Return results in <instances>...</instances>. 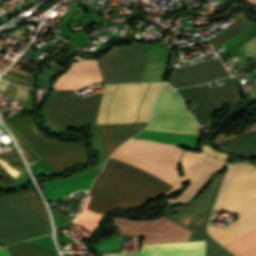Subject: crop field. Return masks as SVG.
Segmentation results:
<instances>
[{
	"label": "crop field",
	"instance_id": "1",
	"mask_svg": "<svg viewBox=\"0 0 256 256\" xmlns=\"http://www.w3.org/2000/svg\"><path fill=\"white\" fill-rule=\"evenodd\" d=\"M104 84L130 83L119 46L96 59ZM95 60H81L73 64L59 79L99 72ZM100 73L56 81V90L78 89L100 82ZM161 83L104 86L103 97L81 99L74 90L55 91L46 109L99 99L102 97L96 125L149 122L153 102ZM93 100L44 111V115L100 102ZM99 104L76 108L44 116L52 129L58 131L78 125L94 123Z\"/></svg>",
	"mask_w": 256,
	"mask_h": 256
},
{
	"label": "crop field",
	"instance_id": "2",
	"mask_svg": "<svg viewBox=\"0 0 256 256\" xmlns=\"http://www.w3.org/2000/svg\"><path fill=\"white\" fill-rule=\"evenodd\" d=\"M182 152L183 149L160 143L129 140L111 157L174 187L179 184L176 162ZM123 162L109 159L81 209L84 212L73 222L93 231L106 210L136 207L172 188Z\"/></svg>",
	"mask_w": 256,
	"mask_h": 256
},
{
	"label": "crop field",
	"instance_id": "3",
	"mask_svg": "<svg viewBox=\"0 0 256 256\" xmlns=\"http://www.w3.org/2000/svg\"><path fill=\"white\" fill-rule=\"evenodd\" d=\"M238 213L239 219L221 228L209 225L210 235L223 245L256 227V167L230 165L215 207Z\"/></svg>",
	"mask_w": 256,
	"mask_h": 256
},
{
	"label": "crop field",
	"instance_id": "4",
	"mask_svg": "<svg viewBox=\"0 0 256 256\" xmlns=\"http://www.w3.org/2000/svg\"><path fill=\"white\" fill-rule=\"evenodd\" d=\"M8 122L31 148L54 168L57 174L72 165L87 162L86 150L84 151L80 143H64L43 139L35 131L34 125L26 115L15 117Z\"/></svg>",
	"mask_w": 256,
	"mask_h": 256
},
{
	"label": "crop field",
	"instance_id": "5",
	"mask_svg": "<svg viewBox=\"0 0 256 256\" xmlns=\"http://www.w3.org/2000/svg\"><path fill=\"white\" fill-rule=\"evenodd\" d=\"M148 123L98 126L102 137L107 158L110 153L125 140L142 131ZM98 172L90 169L87 172L76 174L74 177L44 183V191L47 202L53 203L57 199L67 196L77 190H88Z\"/></svg>",
	"mask_w": 256,
	"mask_h": 256
},
{
	"label": "crop field",
	"instance_id": "6",
	"mask_svg": "<svg viewBox=\"0 0 256 256\" xmlns=\"http://www.w3.org/2000/svg\"><path fill=\"white\" fill-rule=\"evenodd\" d=\"M146 129L200 135L183 100L166 84L155 102L152 120Z\"/></svg>",
	"mask_w": 256,
	"mask_h": 256
},
{
	"label": "crop field",
	"instance_id": "7",
	"mask_svg": "<svg viewBox=\"0 0 256 256\" xmlns=\"http://www.w3.org/2000/svg\"><path fill=\"white\" fill-rule=\"evenodd\" d=\"M224 175H216L207 191L188 206L170 209L163 217L192 232L188 241L210 240L206 225ZM176 210L178 213L167 215Z\"/></svg>",
	"mask_w": 256,
	"mask_h": 256
},
{
	"label": "crop field",
	"instance_id": "8",
	"mask_svg": "<svg viewBox=\"0 0 256 256\" xmlns=\"http://www.w3.org/2000/svg\"><path fill=\"white\" fill-rule=\"evenodd\" d=\"M181 164L185 172L184 176L179 178L180 184L163 195L174 194L178 192L191 178V182L183 194L170 202L187 201L196 191H198L207 177L214 171L222 167V163L217 162L204 154L185 151Z\"/></svg>",
	"mask_w": 256,
	"mask_h": 256
},
{
	"label": "crop field",
	"instance_id": "9",
	"mask_svg": "<svg viewBox=\"0 0 256 256\" xmlns=\"http://www.w3.org/2000/svg\"><path fill=\"white\" fill-rule=\"evenodd\" d=\"M131 222L115 218L121 229L119 233L145 237L143 244L187 241L191 234L164 218L152 222Z\"/></svg>",
	"mask_w": 256,
	"mask_h": 256
},
{
	"label": "crop field",
	"instance_id": "10",
	"mask_svg": "<svg viewBox=\"0 0 256 256\" xmlns=\"http://www.w3.org/2000/svg\"><path fill=\"white\" fill-rule=\"evenodd\" d=\"M230 76L219 58L195 66L175 69L167 81L174 88L188 87Z\"/></svg>",
	"mask_w": 256,
	"mask_h": 256
},
{
	"label": "crop field",
	"instance_id": "11",
	"mask_svg": "<svg viewBox=\"0 0 256 256\" xmlns=\"http://www.w3.org/2000/svg\"><path fill=\"white\" fill-rule=\"evenodd\" d=\"M205 241L143 245L141 253L102 256H204Z\"/></svg>",
	"mask_w": 256,
	"mask_h": 256
},
{
	"label": "crop field",
	"instance_id": "12",
	"mask_svg": "<svg viewBox=\"0 0 256 256\" xmlns=\"http://www.w3.org/2000/svg\"><path fill=\"white\" fill-rule=\"evenodd\" d=\"M131 82H141V75L147 59L148 48L137 46L121 47Z\"/></svg>",
	"mask_w": 256,
	"mask_h": 256
},
{
	"label": "crop field",
	"instance_id": "13",
	"mask_svg": "<svg viewBox=\"0 0 256 256\" xmlns=\"http://www.w3.org/2000/svg\"><path fill=\"white\" fill-rule=\"evenodd\" d=\"M169 51L159 50L149 52L142 82H162L166 70Z\"/></svg>",
	"mask_w": 256,
	"mask_h": 256
},
{
	"label": "crop field",
	"instance_id": "14",
	"mask_svg": "<svg viewBox=\"0 0 256 256\" xmlns=\"http://www.w3.org/2000/svg\"><path fill=\"white\" fill-rule=\"evenodd\" d=\"M133 138L160 141L196 149L199 136L144 130Z\"/></svg>",
	"mask_w": 256,
	"mask_h": 256
},
{
	"label": "crop field",
	"instance_id": "15",
	"mask_svg": "<svg viewBox=\"0 0 256 256\" xmlns=\"http://www.w3.org/2000/svg\"><path fill=\"white\" fill-rule=\"evenodd\" d=\"M203 87L208 92L217 109L224 105L237 104L239 101L237 82L228 84L212 91H210L207 84H203Z\"/></svg>",
	"mask_w": 256,
	"mask_h": 256
},
{
	"label": "crop field",
	"instance_id": "16",
	"mask_svg": "<svg viewBox=\"0 0 256 256\" xmlns=\"http://www.w3.org/2000/svg\"><path fill=\"white\" fill-rule=\"evenodd\" d=\"M224 246L236 256L254 255L256 253V228Z\"/></svg>",
	"mask_w": 256,
	"mask_h": 256
},
{
	"label": "crop field",
	"instance_id": "17",
	"mask_svg": "<svg viewBox=\"0 0 256 256\" xmlns=\"http://www.w3.org/2000/svg\"><path fill=\"white\" fill-rule=\"evenodd\" d=\"M4 249L10 256H59L25 242ZM4 249L0 250V256H9Z\"/></svg>",
	"mask_w": 256,
	"mask_h": 256
},
{
	"label": "crop field",
	"instance_id": "18",
	"mask_svg": "<svg viewBox=\"0 0 256 256\" xmlns=\"http://www.w3.org/2000/svg\"><path fill=\"white\" fill-rule=\"evenodd\" d=\"M251 22H249L245 16L238 18L231 26H229L224 32L215 36L211 40L207 41L210 45L215 48L221 46L223 43L235 37L244 28H246Z\"/></svg>",
	"mask_w": 256,
	"mask_h": 256
},
{
	"label": "crop field",
	"instance_id": "19",
	"mask_svg": "<svg viewBox=\"0 0 256 256\" xmlns=\"http://www.w3.org/2000/svg\"><path fill=\"white\" fill-rule=\"evenodd\" d=\"M176 91L182 96L185 102L193 101L201 108L200 114L195 115V118L198 120L199 123L209 120L211 118L212 114L210 110L203 102L195 87L183 88Z\"/></svg>",
	"mask_w": 256,
	"mask_h": 256
},
{
	"label": "crop field",
	"instance_id": "20",
	"mask_svg": "<svg viewBox=\"0 0 256 256\" xmlns=\"http://www.w3.org/2000/svg\"><path fill=\"white\" fill-rule=\"evenodd\" d=\"M25 198L30 202V204L36 209V211L41 214L48 222L49 218L45 209V206L41 202V200L37 197V195L33 192V190H29L25 193H22Z\"/></svg>",
	"mask_w": 256,
	"mask_h": 256
},
{
	"label": "crop field",
	"instance_id": "21",
	"mask_svg": "<svg viewBox=\"0 0 256 256\" xmlns=\"http://www.w3.org/2000/svg\"><path fill=\"white\" fill-rule=\"evenodd\" d=\"M206 256H233L215 241L207 242Z\"/></svg>",
	"mask_w": 256,
	"mask_h": 256
},
{
	"label": "crop field",
	"instance_id": "22",
	"mask_svg": "<svg viewBox=\"0 0 256 256\" xmlns=\"http://www.w3.org/2000/svg\"><path fill=\"white\" fill-rule=\"evenodd\" d=\"M196 89L198 90V92L200 93V95L202 96L204 102L207 104V106L210 108V110L212 111V113H214L217 109L215 107V105L213 104V102L211 101L210 97L208 96L207 92L205 91V89L202 87V85L200 86H196Z\"/></svg>",
	"mask_w": 256,
	"mask_h": 256
},
{
	"label": "crop field",
	"instance_id": "23",
	"mask_svg": "<svg viewBox=\"0 0 256 256\" xmlns=\"http://www.w3.org/2000/svg\"><path fill=\"white\" fill-rule=\"evenodd\" d=\"M256 46V36L251 39L249 42H247L245 45H243L239 50L240 53H242L243 55L245 53H247L248 51H250L252 48H254Z\"/></svg>",
	"mask_w": 256,
	"mask_h": 256
},
{
	"label": "crop field",
	"instance_id": "24",
	"mask_svg": "<svg viewBox=\"0 0 256 256\" xmlns=\"http://www.w3.org/2000/svg\"><path fill=\"white\" fill-rule=\"evenodd\" d=\"M255 35H256V32H255L254 34H252L250 37H248L247 39H245L243 42H241L239 45H237L236 47H234L233 49H231V50L227 51L226 53L222 54L221 56H219L220 59L223 58V57H225V56H227L228 54H230V53L236 51L237 49H239L243 44H245L247 41H249V40H250L251 38H253Z\"/></svg>",
	"mask_w": 256,
	"mask_h": 256
},
{
	"label": "crop field",
	"instance_id": "25",
	"mask_svg": "<svg viewBox=\"0 0 256 256\" xmlns=\"http://www.w3.org/2000/svg\"><path fill=\"white\" fill-rule=\"evenodd\" d=\"M246 55H251V56H256V47L254 49H252L249 53H247Z\"/></svg>",
	"mask_w": 256,
	"mask_h": 256
},
{
	"label": "crop field",
	"instance_id": "26",
	"mask_svg": "<svg viewBox=\"0 0 256 256\" xmlns=\"http://www.w3.org/2000/svg\"><path fill=\"white\" fill-rule=\"evenodd\" d=\"M249 1L256 5V0H249Z\"/></svg>",
	"mask_w": 256,
	"mask_h": 256
},
{
	"label": "crop field",
	"instance_id": "27",
	"mask_svg": "<svg viewBox=\"0 0 256 256\" xmlns=\"http://www.w3.org/2000/svg\"><path fill=\"white\" fill-rule=\"evenodd\" d=\"M254 73H256V69H255Z\"/></svg>",
	"mask_w": 256,
	"mask_h": 256
}]
</instances>
